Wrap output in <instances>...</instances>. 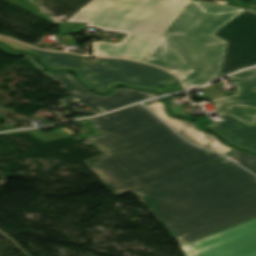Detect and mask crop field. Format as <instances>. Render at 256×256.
<instances>
[{"label": "crop field", "mask_w": 256, "mask_h": 256, "mask_svg": "<svg viewBox=\"0 0 256 256\" xmlns=\"http://www.w3.org/2000/svg\"><path fill=\"white\" fill-rule=\"evenodd\" d=\"M233 163L218 158L132 192L186 256H256V177Z\"/></svg>", "instance_id": "1"}, {"label": "crop field", "mask_w": 256, "mask_h": 256, "mask_svg": "<svg viewBox=\"0 0 256 256\" xmlns=\"http://www.w3.org/2000/svg\"><path fill=\"white\" fill-rule=\"evenodd\" d=\"M91 120L101 134L84 141L105 154L86 163L117 196L221 157L187 143L142 105Z\"/></svg>", "instance_id": "2"}, {"label": "crop field", "mask_w": 256, "mask_h": 256, "mask_svg": "<svg viewBox=\"0 0 256 256\" xmlns=\"http://www.w3.org/2000/svg\"><path fill=\"white\" fill-rule=\"evenodd\" d=\"M190 1L91 0L66 22L127 34L117 44L93 42V55L141 61Z\"/></svg>", "instance_id": "3"}, {"label": "crop field", "mask_w": 256, "mask_h": 256, "mask_svg": "<svg viewBox=\"0 0 256 256\" xmlns=\"http://www.w3.org/2000/svg\"><path fill=\"white\" fill-rule=\"evenodd\" d=\"M242 9L193 0L165 33L197 70L184 81L194 88L218 75L227 42L212 35Z\"/></svg>", "instance_id": "4"}, {"label": "crop field", "mask_w": 256, "mask_h": 256, "mask_svg": "<svg viewBox=\"0 0 256 256\" xmlns=\"http://www.w3.org/2000/svg\"><path fill=\"white\" fill-rule=\"evenodd\" d=\"M48 66L57 69L68 67L80 71L81 79L93 89L103 92L116 83L156 88L171 85L179 80L166 71L149 65L122 60L96 58L89 63L84 56L69 53H53L32 48Z\"/></svg>", "instance_id": "5"}, {"label": "crop field", "mask_w": 256, "mask_h": 256, "mask_svg": "<svg viewBox=\"0 0 256 256\" xmlns=\"http://www.w3.org/2000/svg\"><path fill=\"white\" fill-rule=\"evenodd\" d=\"M213 34L228 41L220 75L256 64V13L244 11Z\"/></svg>", "instance_id": "6"}, {"label": "crop field", "mask_w": 256, "mask_h": 256, "mask_svg": "<svg viewBox=\"0 0 256 256\" xmlns=\"http://www.w3.org/2000/svg\"><path fill=\"white\" fill-rule=\"evenodd\" d=\"M48 76L56 81H62V88L73 97L62 99L60 100L61 103L66 105L77 103L81 106H87L95 114L156 96L147 92L125 88L115 89L112 95L101 97L83 88L66 72Z\"/></svg>", "instance_id": "7"}, {"label": "crop field", "mask_w": 256, "mask_h": 256, "mask_svg": "<svg viewBox=\"0 0 256 256\" xmlns=\"http://www.w3.org/2000/svg\"><path fill=\"white\" fill-rule=\"evenodd\" d=\"M229 78L236 84V96L213 100L219 115L230 114L251 126L256 125V68Z\"/></svg>", "instance_id": "8"}, {"label": "crop field", "mask_w": 256, "mask_h": 256, "mask_svg": "<svg viewBox=\"0 0 256 256\" xmlns=\"http://www.w3.org/2000/svg\"><path fill=\"white\" fill-rule=\"evenodd\" d=\"M154 113L162 118L167 124L175 129L186 140L202 147L219 153H226L232 148L225 146L220 140L213 135L206 134L194 127V123L174 119L167 115L162 101L147 105Z\"/></svg>", "instance_id": "9"}, {"label": "crop field", "mask_w": 256, "mask_h": 256, "mask_svg": "<svg viewBox=\"0 0 256 256\" xmlns=\"http://www.w3.org/2000/svg\"><path fill=\"white\" fill-rule=\"evenodd\" d=\"M142 62L161 66L168 70L179 69L181 72L175 74L182 80L195 72L165 35L161 37Z\"/></svg>", "instance_id": "10"}, {"label": "crop field", "mask_w": 256, "mask_h": 256, "mask_svg": "<svg viewBox=\"0 0 256 256\" xmlns=\"http://www.w3.org/2000/svg\"><path fill=\"white\" fill-rule=\"evenodd\" d=\"M89 1L90 0H40V8L59 25L60 35H66L76 33L85 27L86 24L65 23V20Z\"/></svg>", "instance_id": "11"}, {"label": "crop field", "mask_w": 256, "mask_h": 256, "mask_svg": "<svg viewBox=\"0 0 256 256\" xmlns=\"http://www.w3.org/2000/svg\"><path fill=\"white\" fill-rule=\"evenodd\" d=\"M225 121L207 124L232 143L256 151V126H249L229 115L222 116Z\"/></svg>", "instance_id": "12"}, {"label": "crop field", "mask_w": 256, "mask_h": 256, "mask_svg": "<svg viewBox=\"0 0 256 256\" xmlns=\"http://www.w3.org/2000/svg\"><path fill=\"white\" fill-rule=\"evenodd\" d=\"M20 133H29L45 142L52 141V140H57V139H62L66 137H71L70 134H68L66 131L63 129L59 128L55 131H52L48 134H45L39 130H33V131H21V132H11V133H5L3 134L4 136L6 135H12V134H20Z\"/></svg>", "instance_id": "13"}, {"label": "crop field", "mask_w": 256, "mask_h": 256, "mask_svg": "<svg viewBox=\"0 0 256 256\" xmlns=\"http://www.w3.org/2000/svg\"><path fill=\"white\" fill-rule=\"evenodd\" d=\"M227 155H230L234 158H236L239 162L240 165L243 167L247 168L254 174H256V156L251 155L247 152H241L237 149L231 151Z\"/></svg>", "instance_id": "14"}, {"label": "crop field", "mask_w": 256, "mask_h": 256, "mask_svg": "<svg viewBox=\"0 0 256 256\" xmlns=\"http://www.w3.org/2000/svg\"><path fill=\"white\" fill-rule=\"evenodd\" d=\"M202 90L206 93V95L212 99V98H216V97H220V96H224V94H221L216 87L211 84L205 88H202Z\"/></svg>", "instance_id": "15"}, {"label": "crop field", "mask_w": 256, "mask_h": 256, "mask_svg": "<svg viewBox=\"0 0 256 256\" xmlns=\"http://www.w3.org/2000/svg\"><path fill=\"white\" fill-rule=\"evenodd\" d=\"M0 41L7 43L9 46H11L14 49L28 50L29 48H31L29 46H26V45H23V44H20V43H17V42L8 40V39H4V38H1V37H0Z\"/></svg>", "instance_id": "16"}, {"label": "crop field", "mask_w": 256, "mask_h": 256, "mask_svg": "<svg viewBox=\"0 0 256 256\" xmlns=\"http://www.w3.org/2000/svg\"><path fill=\"white\" fill-rule=\"evenodd\" d=\"M181 90H184V88L181 86V84L158 89V91L162 92L163 94L172 93V92L181 91Z\"/></svg>", "instance_id": "17"}, {"label": "crop field", "mask_w": 256, "mask_h": 256, "mask_svg": "<svg viewBox=\"0 0 256 256\" xmlns=\"http://www.w3.org/2000/svg\"><path fill=\"white\" fill-rule=\"evenodd\" d=\"M0 49H1L2 51L6 52L7 54H10V55H14V56H21V55H23V53L12 52V51L6 49L5 47H3V46H1V45H0Z\"/></svg>", "instance_id": "18"}, {"label": "crop field", "mask_w": 256, "mask_h": 256, "mask_svg": "<svg viewBox=\"0 0 256 256\" xmlns=\"http://www.w3.org/2000/svg\"><path fill=\"white\" fill-rule=\"evenodd\" d=\"M202 1H208V2H213L217 4H222V5H225V2H226L224 0H202Z\"/></svg>", "instance_id": "19"}]
</instances>
